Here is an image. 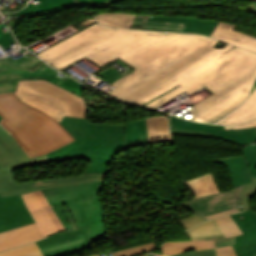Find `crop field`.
<instances>
[{
	"mask_svg": "<svg viewBox=\"0 0 256 256\" xmlns=\"http://www.w3.org/2000/svg\"><path fill=\"white\" fill-rule=\"evenodd\" d=\"M22 198L44 237L64 230L42 190L23 194Z\"/></svg>",
	"mask_w": 256,
	"mask_h": 256,
	"instance_id": "crop-field-10",
	"label": "crop field"
},
{
	"mask_svg": "<svg viewBox=\"0 0 256 256\" xmlns=\"http://www.w3.org/2000/svg\"><path fill=\"white\" fill-rule=\"evenodd\" d=\"M3 119L1 116H0V120Z\"/></svg>",
	"mask_w": 256,
	"mask_h": 256,
	"instance_id": "crop-field-50",
	"label": "crop field"
},
{
	"mask_svg": "<svg viewBox=\"0 0 256 256\" xmlns=\"http://www.w3.org/2000/svg\"><path fill=\"white\" fill-rule=\"evenodd\" d=\"M148 144L145 118L125 124V147Z\"/></svg>",
	"mask_w": 256,
	"mask_h": 256,
	"instance_id": "crop-field-20",
	"label": "crop field"
},
{
	"mask_svg": "<svg viewBox=\"0 0 256 256\" xmlns=\"http://www.w3.org/2000/svg\"><path fill=\"white\" fill-rule=\"evenodd\" d=\"M76 140L48 153L52 162L82 158L92 163L84 173L106 172L115 154L124 148V125L93 124L65 116L59 123Z\"/></svg>",
	"mask_w": 256,
	"mask_h": 256,
	"instance_id": "crop-field-3",
	"label": "crop field"
},
{
	"mask_svg": "<svg viewBox=\"0 0 256 256\" xmlns=\"http://www.w3.org/2000/svg\"><path fill=\"white\" fill-rule=\"evenodd\" d=\"M26 56H27L26 58H25V56H23V57L15 60V61H10V60H4V61H7V62L12 63V64L19 65V66H23V67H26L28 69L32 68L33 66H35L36 64L41 62V60L34 57L30 53L27 54Z\"/></svg>",
	"mask_w": 256,
	"mask_h": 256,
	"instance_id": "crop-field-33",
	"label": "crop field"
},
{
	"mask_svg": "<svg viewBox=\"0 0 256 256\" xmlns=\"http://www.w3.org/2000/svg\"><path fill=\"white\" fill-rule=\"evenodd\" d=\"M246 8H249V9H251V10L256 12V2L251 3Z\"/></svg>",
	"mask_w": 256,
	"mask_h": 256,
	"instance_id": "crop-field-42",
	"label": "crop field"
},
{
	"mask_svg": "<svg viewBox=\"0 0 256 256\" xmlns=\"http://www.w3.org/2000/svg\"><path fill=\"white\" fill-rule=\"evenodd\" d=\"M118 1H121V0H108V1L102 2V3H100V4L111 5V4L116 3V2H118Z\"/></svg>",
	"mask_w": 256,
	"mask_h": 256,
	"instance_id": "crop-field-41",
	"label": "crop field"
},
{
	"mask_svg": "<svg viewBox=\"0 0 256 256\" xmlns=\"http://www.w3.org/2000/svg\"><path fill=\"white\" fill-rule=\"evenodd\" d=\"M76 4L91 3L89 0H73Z\"/></svg>",
	"mask_w": 256,
	"mask_h": 256,
	"instance_id": "crop-field-43",
	"label": "crop field"
},
{
	"mask_svg": "<svg viewBox=\"0 0 256 256\" xmlns=\"http://www.w3.org/2000/svg\"><path fill=\"white\" fill-rule=\"evenodd\" d=\"M190 240H204V238L223 235L215 219L205 221L185 232Z\"/></svg>",
	"mask_w": 256,
	"mask_h": 256,
	"instance_id": "crop-field-24",
	"label": "crop field"
},
{
	"mask_svg": "<svg viewBox=\"0 0 256 256\" xmlns=\"http://www.w3.org/2000/svg\"><path fill=\"white\" fill-rule=\"evenodd\" d=\"M243 154L251 170L252 175L256 174V143L243 146Z\"/></svg>",
	"mask_w": 256,
	"mask_h": 256,
	"instance_id": "crop-field-31",
	"label": "crop field"
},
{
	"mask_svg": "<svg viewBox=\"0 0 256 256\" xmlns=\"http://www.w3.org/2000/svg\"><path fill=\"white\" fill-rule=\"evenodd\" d=\"M217 23L195 18L148 16L143 19H136L132 28L200 33L210 36Z\"/></svg>",
	"mask_w": 256,
	"mask_h": 256,
	"instance_id": "crop-field-8",
	"label": "crop field"
},
{
	"mask_svg": "<svg viewBox=\"0 0 256 256\" xmlns=\"http://www.w3.org/2000/svg\"><path fill=\"white\" fill-rule=\"evenodd\" d=\"M37 244L45 256H59L91 246L88 228L53 234Z\"/></svg>",
	"mask_w": 256,
	"mask_h": 256,
	"instance_id": "crop-field-9",
	"label": "crop field"
},
{
	"mask_svg": "<svg viewBox=\"0 0 256 256\" xmlns=\"http://www.w3.org/2000/svg\"><path fill=\"white\" fill-rule=\"evenodd\" d=\"M170 118H172V120H170L171 133L196 135V136H214L217 131L223 129V126H220V125H211L206 123L193 122V121L176 118L173 116H171Z\"/></svg>",
	"mask_w": 256,
	"mask_h": 256,
	"instance_id": "crop-field-15",
	"label": "crop field"
},
{
	"mask_svg": "<svg viewBox=\"0 0 256 256\" xmlns=\"http://www.w3.org/2000/svg\"><path fill=\"white\" fill-rule=\"evenodd\" d=\"M24 152L12 136L0 126V194L2 197L51 187L102 181L103 174H95L17 183L13 169L51 162L47 154L29 159Z\"/></svg>",
	"mask_w": 256,
	"mask_h": 256,
	"instance_id": "crop-field-4",
	"label": "crop field"
},
{
	"mask_svg": "<svg viewBox=\"0 0 256 256\" xmlns=\"http://www.w3.org/2000/svg\"><path fill=\"white\" fill-rule=\"evenodd\" d=\"M256 87V82H255V84H254V86H253V88H252V91H253V89ZM252 91H251V93H252Z\"/></svg>",
	"mask_w": 256,
	"mask_h": 256,
	"instance_id": "crop-field-48",
	"label": "crop field"
},
{
	"mask_svg": "<svg viewBox=\"0 0 256 256\" xmlns=\"http://www.w3.org/2000/svg\"><path fill=\"white\" fill-rule=\"evenodd\" d=\"M41 3L36 5L41 12L54 10L68 5H74L72 0H39Z\"/></svg>",
	"mask_w": 256,
	"mask_h": 256,
	"instance_id": "crop-field-28",
	"label": "crop field"
},
{
	"mask_svg": "<svg viewBox=\"0 0 256 256\" xmlns=\"http://www.w3.org/2000/svg\"><path fill=\"white\" fill-rule=\"evenodd\" d=\"M0 115L4 118L0 124L29 158L75 140L55 119L22 102L13 92L0 94Z\"/></svg>",
	"mask_w": 256,
	"mask_h": 256,
	"instance_id": "crop-field-2",
	"label": "crop field"
},
{
	"mask_svg": "<svg viewBox=\"0 0 256 256\" xmlns=\"http://www.w3.org/2000/svg\"><path fill=\"white\" fill-rule=\"evenodd\" d=\"M197 34L112 29L97 23L37 54L63 70L85 56L100 66L116 59L135 70L107 95L155 109L202 87L214 94L189 110L192 120L214 123L240 106L256 80V53Z\"/></svg>",
	"mask_w": 256,
	"mask_h": 256,
	"instance_id": "crop-field-1",
	"label": "crop field"
},
{
	"mask_svg": "<svg viewBox=\"0 0 256 256\" xmlns=\"http://www.w3.org/2000/svg\"><path fill=\"white\" fill-rule=\"evenodd\" d=\"M94 4H97V3H100L102 1H105V0H92Z\"/></svg>",
	"mask_w": 256,
	"mask_h": 256,
	"instance_id": "crop-field-45",
	"label": "crop field"
},
{
	"mask_svg": "<svg viewBox=\"0 0 256 256\" xmlns=\"http://www.w3.org/2000/svg\"><path fill=\"white\" fill-rule=\"evenodd\" d=\"M11 37H10L9 33H3L2 34V32L0 30V45L5 47V46H7L11 43H14Z\"/></svg>",
	"mask_w": 256,
	"mask_h": 256,
	"instance_id": "crop-field-39",
	"label": "crop field"
},
{
	"mask_svg": "<svg viewBox=\"0 0 256 256\" xmlns=\"http://www.w3.org/2000/svg\"><path fill=\"white\" fill-rule=\"evenodd\" d=\"M235 27L236 25L219 22L212 32L211 37L256 51V38L232 30Z\"/></svg>",
	"mask_w": 256,
	"mask_h": 256,
	"instance_id": "crop-field-16",
	"label": "crop field"
},
{
	"mask_svg": "<svg viewBox=\"0 0 256 256\" xmlns=\"http://www.w3.org/2000/svg\"><path fill=\"white\" fill-rule=\"evenodd\" d=\"M213 161L224 164L235 187L252 182L250 170L243 156Z\"/></svg>",
	"mask_w": 256,
	"mask_h": 256,
	"instance_id": "crop-field-17",
	"label": "crop field"
},
{
	"mask_svg": "<svg viewBox=\"0 0 256 256\" xmlns=\"http://www.w3.org/2000/svg\"><path fill=\"white\" fill-rule=\"evenodd\" d=\"M39 248L36 242H34L22 247H18V248L0 253V256H44Z\"/></svg>",
	"mask_w": 256,
	"mask_h": 256,
	"instance_id": "crop-field-26",
	"label": "crop field"
},
{
	"mask_svg": "<svg viewBox=\"0 0 256 256\" xmlns=\"http://www.w3.org/2000/svg\"><path fill=\"white\" fill-rule=\"evenodd\" d=\"M34 223L20 195L0 197V232Z\"/></svg>",
	"mask_w": 256,
	"mask_h": 256,
	"instance_id": "crop-field-11",
	"label": "crop field"
},
{
	"mask_svg": "<svg viewBox=\"0 0 256 256\" xmlns=\"http://www.w3.org/2000/svg\"><path fill=\"white\" fill-rule=\"evenodd\" d=\"M253 1H256V0H253Z\"/></svg>",
	"mask_w": 256,
	"mask_h": 256,
	"instance_id": "crop-field-52",
	"label": "crop field"
},
{
	"mask_svg": "<svg viewBox=\"0 0 256 256\" xmlns=\"http://www.w3.org/2000/svg\"><path fill=\"white\" fill-rule=\"evenodd\" d=\"M156 247L157 246L152 242L149 244H145V245L121 250L118 252H114L113 254H114V256H131V255L140 254V253L154 250Z\"/></svg>",
	"mask_w": 256,
	"mask_h": 256,
	"instance_id": "crop-field-32",
	"label": "crop field"
},
{
	"mask_svg": "<svg viewBox=\"0 0 256 256\" xmlns=\"http://www.w3.org/2000/svg\"><path fill=\"white\" fill-rule=\"evenodd\" d=\"M215 136L235 144L246 145L256 141V127L240 130H221Z\"/></svg>",
	"mask_w": 256,
	"mask_h": 256,
	"instance_id": "crop-field-23",
	"label": "crop field"
},
{
	"mask_svg": "<svg viewBox=\"0 0 256 256\" xmlns=\"http://www.w3.org/2000/svg\"><path fill=\"white\" fill-rule=\"evenodd\" d=\"M255 118H256V91L240 108H238L230 116L223 119L217 124H237V123L249 121Z\"/></svg>",
	"mask_w": 256,
	"mask_h": 256,
	"instance_id": "crop-field-19",
	"label": "crop field"
},
{
	"mask_svg": "<svg viewBox=\"0 0 256 256\" xmlns=\"http://www.w3.org/2000/svg\"><path fill=\"white\" fill-rule=\"evenodd\" d=\"M99 75L102 76L104 79H107L105 81H107L110 84L123 76L122 74H120L112 68L100 73Z\"/></svg>",
	"mask_w": 256,
	"mask_h": 256,
	"instance_id": "crop-field-35",
	"label": "crop field"
},
{
	"mask_svg": "<svg viewBox=\"0 0 256 256\" xmlns=\"http://www.w3.org/2000/svg\"><path fill=\"white\" fill-rule=\"evenodd\" d=\"M155 256H158V255H155Z\"/></svg>",
	"mask_w": 256,
	"mask_h": 256,
	"instance_id": "crop-field-51",
	"label": "crop field"
},
{
	"mask_svg": "<svg viewBox=\"0 0 256 256\" xmlns=\"http://www.w3.org/2000/svg\"><path fill=\"white\" fill-rule=\"evenodd\" d=\"M244 235L236 236L233 246L237 256H256V213L251 210L232 214Z\"/></svg>",
	"mask_w": 256,
	"mask_h": 256,
	"instance_id": "crop-field-12",
	"label": "crop field"
},
{
	"mask_svg": "<svg viewBox=\"0 0 256 256\" xmlns=\"http://www.w3.org/2000/svg\"><path fill=\"white\" fill-rule=\"evenodd\" d=\"M149 144L171 140L168 129V117L152 116L146 118Z\"/></svg>",
	"mask_w": 256,
	"mask_h": 256,
	"instance_id": "crop-field-18",
	"label": "crop field"
},
{
	"mask_svg": "<svg viewBox=\"0 0 256 256\" xmlns=\"http://www.w3.org/2000/svg\"><path fill=\"white\" fill-rule=\"evenodd\" d=\"M14 93L27 104L46 112L58 123L64 115L85 118L86 105L82 97L48 81L19 80Z\"/></svg>",
	"mask_w": 256,
	"mask_h": 256,
	"instance_id": "crop-field-6",
	"label": "crop field"
},
{
	"mask_svg": "<svg viewBox=\"0 0 256 256\" xmlns=\"http://www.w3.org/2000/svg\"><path fill=\"white\" fill-rule=\"evenodd\" d=\"M49 68L50 67L41 62L28 70L0 60V93L15 91L18 79L41 78L38 75Z\"/></svg>",
	"mask_w": 256,
	"mask_h": 256,
	"instance_id": "crop-field-13",
	"label": "crop field"
},
{
	"mask_svg": "<svg viewBox=\"0 0 256 256\" xmlns=\"http://www.w3.org/2000/svg\"><path fill=\"white\" fill-rule=\"evenodd\" d=\"M100 256H113L110 251L99 253Z\"/></svg>",
	"mask_w": 256,
	"mask_h": 256,
	"instance_id": "crop-field-44",
	"label": "crop field"
},
{
	"mask_svg": "<svg viewBox=\"0 0 256 256\" xmlns=\"http://www.w3.org/2000/svg\"><path fill=\"white\" fill-rule=\"evenodd\" d=\"M205 220H203L202 218H200L199 216H197L196 214L189 217V218H186L182 221H180L179 223L181 224V226L184 228V230H187L201 222H203Z\"/></svg>",
	"mask_w": 256,
	"mask_h": 256,
	"instance_id": "crop-field-34",
	"label": "crop field"
},
{
	"mask_svg": "<svg viewBox=\"0 0 256 256\" xmlns=\"http://www.w3.org/2000/svg\"><path fill=\"white\" fill-rule=\"evenodd\" d=\"M171 256H216L215 248L201 251L173 254Z\"/></svg>",
	"mask_w": 256,
	"mask_h": 256,
	"instance_id": "crop-field-36",
	"label": "crop field"
},
{
	"mask_svg": "<svg viewBox=\"0 0 256 256\" xmlns=\"http://www.w3.org/2000/svg\"><path fill=\"white\" fill-rule=\"evenodd\" d=\"M53 209H54L56 215L58 216V218L60 219V221L62 222L65 229L75 228L73 219H72L67 207L65 206V204L59 205V206H54Z\"/></svg>",
	"mask_w": 256,
	"mask_h": 256,
	"instance_id": "crop-field-30",
	"label": "crop field"
},
{
	"mask_svg": "<svg viewBox=\"0 0 256 256\" xmlns=\"http://www.w3.org/2000/svg\"><path fill=\"white\" fill-rule=\"evenodd\" d=\"M166 243V242H165ZM215 247L214 240L206 241H174L162 245V254H173L192 250L208 249Z\"/></svg>",
	"mask_w": 256,
	"mask_h": 256,
	"instance_id": "crop-field-21",
	"label": "crop field"
},
{
	"mask_svg": "<svg viewBox=\"0 0 256 256\" xmlns=\"http://www.w3.org/2000/svg\"><path fill=\"white\" fill-rule=\"evenodd\" d=\"M216 221L226 237L242 234L230 215L216 218Z\"/></svg>",
	"mask_w": 256,
	"mask_h": 256,
	"instance_id": "crop-field-27",
	"label": "crop field"
},
{
	"mask_svg": "<svg viewBox=\"0 0 256 256\" xmlns=\"http://www.w3.org/2000/svg\"><path fill=\"white\" fill-rule=\"evenodd\" d=\"M253 183L243 185V192L240 200V211L249 209V198L256 193V178H252Z\"/></svg>",
	"mask_w": 256,
	"mask_h": 256,
	"instance_id": "crop-field-29",
	"label": "crop field"
},
{
	"mask_svg": "<svg viewBox=\"0 0 256 256\" xmlns=\"http://www.w3.org/2000/svg\"><path fill=\"white\" fill-rule=\"evenodd\" d=\"M253 126H256V120L235 125V126H226L225 129H240V128L253 127Z\"/></svg>",
	"mask_w": 256,
	"mask_h": 256,
	"instance_id": "crop-field-40",
	"label": "crop field"
},
{
	"mask_svg": "<svg viewBox=\"0 0 256 256\" xmlns=\"http://www.w3.org/2000/svg\"><path fill=\"white\" fill-rule=\"evenodd\" d=\"M101 185L102 182H98L43 190L51 206L66 204L76 227L89 226L91 243L106 233L102 224V205L97 195Z\"/></svg>",
	"mask_w": 256,
	"mask_h": 256,
	"instance_id": "crop-field-5",
	"label": "crop field"
},
{
	"mask_svg": "<svg viewBox=\"0 0 256 256\" xmlns=\"http://www.w3.org/2000/svg\"><path fill=\"white\" fill-rule=\"evenodd\" d=\"M223 237H225V236H218V237H212V238H207V239H217V238H223Z\"/></svg>",
	"mask_w": 256,
	"mask_h": 256,
	"instance_id": "crop-field-46",
	"label": "crop field"
},
{
	"mask_svg": "<svg viewBox=\"0 0 256 256\" xmlns=\"http://www.w3.org/2000/svg\"><path fill=\"white\" fill-rule=\"evenodd\" d=\"M217 256H236L232 246L216 248Z\"/></svg>",
	"mask_w": 256,
	"mask_h": 256,
	"instance_id": "crop-field-37",
	"label": "crop field"
},
{
	"mask_svg": "<svg viewBox=\"0 0 256 256\" xmlns=\"http://www.w3.org/2000/svg\"><path fill=\"white\" fill-rule=\"evenodd\" d=\"M242 186L216 195L185 201L181 205L205 220L239 211Z\"/></svg>",
	"mask_w": 256,
	"mask_h": 256,
	"instance_id": "crop-field-7",
	"label": "crop field"
},
{
	"mask_svg": "<svg viewBox=\"0 0 256 256\" xmlns=\"http://www.w3.org/2000/svg\"><path fill=\"white\" fill-rule=\"evenodd\" d=\"M93 256H99L98 254H96V255H93Z\"/></svg>",
	"mask_w": 256,
	"mask_h": 256,
	"instance_id": "crop-field-49",
	"label": "crop field"
},
{
	"mask_svg": "<svg viewBox=\"0 0 256 256\" xmlns=\"http://www.w3.org/2000/svg\"><path fill=\"white\" fill-rule=\"evenodd\" d=\"M140 256H154L153 254H144V255H140Z\"/></svg>",
	"mask_w": 256,
	"mask_h": 256,
	"instance_id": "crop-field-47",
	"label": "crop field"
},
{
	"mask_svg": "<svg viewBox=\"0 0 256 256\" xmlns=\"http://www.w3.org/2000/svg\"><path fill=\"white\" fill-rule=\"evenodd\" d=\"M44 238L36 223L0 233V251Z\"/></svg>",
	"mask_w": 256,
	"mask_h": 256,
	"instance_id": "crop-field-14",
	"label": "crop field"
},
{
	"mask_svg": "<svg viewBox=\"0 0 256 256\" xmlns=\"http://www.w3.org/2000/svg\"><path fill=\"white\" fill-rule=\"evenodd\" d=\"M216 247H222V246H228L235 244V236L223 238V239H217L215 240Z\"/></svg>",
	"mask_w": 256,
	"mask_h": 256,
	"instance_id": "crop-field-38",
	"label": "crop field"
},
{
	"mask_svg": "<svg viewBox=\"0 0 256 256\" xmlns=\"http://www.w3.org/2000/svg\"><path fill=\"white\" fill-rule=\"evenodd\" d=\"M185 184L195 197L220 192L211 173L189 180Z\"/></svg>",
	"mask_w": 256,
	"mask_h": 256,
	"instance_id": "crop-field-22",
	"label": "crop field"
},
{
	"mask_svg": "<svg viewBox=\"0 0 256 256\" xmlns=\"http://www.w3.org/2000/svg\"><path fill=\"white\" fill-rule=\"evenodd\" d=\"M94 17L106 26L126 27L130 28L136 15L131 14H117V13H103L94 15Z\"/></svg>",
	"mask_w": 256,
	"mask_h": 256,
	"instance_id": "crop-field-25",
	"label": "crop field"
}]
</instances>
